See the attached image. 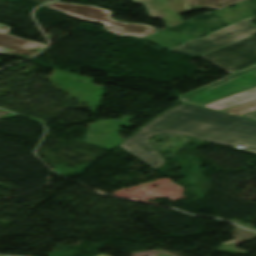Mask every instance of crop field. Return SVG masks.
Instances as JSON below:
<instances>
[{"mask_svg":"<svg viewBox=\"0 0 256 256\" xmlns=\"http://www.w3.org/2000/svg\"><path fill=\"white\" fill-rule=\"evenodd\" d=\"M45 6L64 11L73 17L88 21L102 22L106 25V30L118 35H135L143 38L158 32L157 29L147 25L123 24L121 22L114 21L111 19V11L94 6H84L59 2H53Z\"/></svg>","mask_w":256,"mask_h":256,"instance_id":"ac0d7876","label":"crop field"},{"mask_svg":"<svg viewBox=\"0 0 256 256\" xmlns=\"http://www.w3.org/2000/svg\"><path fill=\"white\" fill-rule=\"evenodd\" d=\"M100 256H109V255H107V254H102V255H100Z\"/></svg>","mask_w":256,"mask_h":256,"instance_id":"22f410ed","label":"crop field"},{"mask_svg":"<svg viewBox=\"0 0 256 256\" xmlns=\"http://www.w3.org/2000/svg\"><path fill=\"white\" fill-rule=\"evenodd\" d=\"M158 133H181L228 146L240 144L256 151L255 121L187 103L163 113L120 146L157 169L164 160L147 140Z\"/></svg>","mask_w":256,"mask_h":256,"instance_id":"8a807250","label":"crop field"},{"mask_svg":"<svg viewBox=\"0 0 256 256\" xmlns=\"http://www.w3.org/2000/svg\"><path fill=\"white\" fill-rule=\"evenodd\" d=\"M251 18L254 17H250L227 28L215 31L209 34L207 37L191 39L183 43L182 46L170 47L168 50L197 56L238 41L253 33H256V25L250 22ZM229 33H233V35L230 36L228 35Z\"/></svg>","mask_w":256,"mask_h":256,"instance_id":"412701ff","label":"crop field"},{"mask_svg":"<svg viewBox=\"0 0 256 256\" xmlns=\"http://www.w3.org/2000/svg\"><path fill=\"white\" fill-rule=\"evenodd\" d=\"M180 99L184 102L197 104V105H200V106L206 104V103H203V102H200V101H197V100H193V99H190V98H187V97H184V96H181Z\"/></svg>","mask_w":256,"mask_h":256,"instance_id":"3316defc","label":"crop field"},{"mask_svg":"<svg viewBox=\"0 0 256 256\" xmlns=\"http://www.w3.org/2000/svg\"><path fill=\"white\" fill-rule=\"evenodd\" d=\"M146 6L151 17L165 19L168 27L181 23L179 14L202 8L220 10L243 0H133Z\"/></svg>","mask_w":256,"mask_h":256,"instance_id":"34b2d1b8","label":"crop field"},{"mask_svg":"<svg viewBox=\"0 0 256 256\" xmlns=\"http://www.w3.org/2000/svg\"><path fill=\"white\" fill-rule=\"evenodd\" d=\"M256 36L203 54L200 57L232 74L256 63Z\"/></svg>","mask_w":256,"mask_h":256,"instance_id":"f4fd0767","label":"crop field"},{"mask_svg":"<svg viewBox=\"0 0 256 256\" xmlns=\"http://www.w3.org/2000/svg\"><path fill=\"white\" fill-rule=\"evenodd\" d=\"M254 69H256V66L251 67V68H248V69H246V70L251 71V70H254Z\"/></svg>","mask_w":256,"mask_h":256,"instance_id":"d1516ede","label":"crop field"},{"mask_svg":"<svg viewBox=\"0 0 256 256\" xmlns=\"http://www.w3.org/2000/svg\"><path fill=\"white\" fill-rule=\"evenodd\" d=\"M244 117H248V118H252V119H256V111L255 112H252L248 115H243Z\"/></svg>","mask_w":256,"mask_h":256,"instance_id":"28ad6ade","label":"crop field"},{"mask_svg":"<svg viewBox=\"0 0 256 256\" xmlns=\"http://www.w3.org/2000/svg\"><path fill=\"white\" fill-rule=\"evenodd\" d=\"M255 110H256V100L246 103V104H243V105H240V106H237V107H234V108L226 110L224 112L242 116L243 114H248Z\"/></svg>","mask_w":256,"mask_h":256,"instance_id":"5a996713","label":"crop field"},{"mask_svg":"<svg viewBox=\"0 0 256 256\" xmlns=\"http://www.w3.org/2000/svg\"><path fill=\"white\" fill-rule=\"evenodd\" d=\"M83 1H86V0H83Z\"/></svg>","mask_w":256,"mask_h":256,"instance_id":"cbeb9de0","label":"crop field"},{"mask_svg":"<svg viewBox=\"0 0 256 256\" xmlns=\"http://www.w3.org/2000/svg\"><path fill=\"white\" fill-rule=\"evenodd\" d=\"M254 87H256V70L240 71L183 95L209 103Z\"/></svg>","mask_w":256,"mask_h":256,"instance_id":"dd49c442","label":"crop field"},{"mask_svg":"<svg viewBox=\"0 0 256 256\" xmlns=\"http://www.w3.org/2000/svg\"><path fill=\"white\" fill-rule=\"evenodd\" d=\"M12 28L0 24V53L35 55L45 44L8 35Z\"/></svg>","mask_w":256,"mask_h":256,"instance_id":"e52e79f7","label":"crop field"},{"mask_svg":"<svg viewBox=\"0 0 256 256\" xmlns=\"http://www.w3.org/2000/svg\"><path fill=\"white\" fill-rule=\"evenodd\" d=\"M254 99H256V88L206 104L204 107L222 111Z\"/></svg>","mask_w":256,"mask_h":256,"instance_id":"d8731c3e","label":"crop field"}]
</instances>
